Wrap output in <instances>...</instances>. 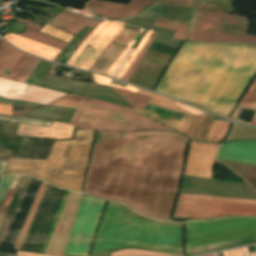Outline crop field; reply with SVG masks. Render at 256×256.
Returning <instances> with one entry per match:
<instances>
[{"instance_id": "d23c7cc5", "label": "crop field", "mask_w": 256, "mask_h": 256, "mask_svg": "<svg viewBox=\"0 0 256 256\" xmlns=\"http://www.w3.org/2000/svg\"><path fill=\"white\" fill-rule=\"evenodd\" d=\"M19 256H49V255L19 252Z\"/></svg>"}, {"instance_id": "8a807250", "label": "crop field", "mask_w": 256, "mask_h": 256, "mask_svg": "<svg viewBox=\"0 0 256 256\" xmlns=\"http://www.w3.org/2000/svg\"><path fill=\"white\" fill-rule=\"evenodd\" d=\"M175 133L98 131L84 192L168 220L187 142Z\"/></svg>"}, {"instance_id": "25e5ab78", "label": "crop field", "mask_w": 256, "mask_h": 256, "mask_svg": "<svg viewBox=\"0 0 256 256\" xmlns=\"http://www.w3.org/2000/svg\"><path fill=\"white\" fill-rule=\"evenodd\" d=\"M219 254V256H223V253L222 252H220V253H218Z\"/></svg>"}, {"instance_id": "89e229c0", "label": "crop field", "mask_w": 256, "mask_h": 256, "mask_svg": "<svg viewBox=\"0 0 256 256\" xmlns=\"http://www.w3.org/2000/svg\"><path fill=\"white\" fill-rule=\"evenodd\" d=\"M205 256H212V255H205Z\"/></svg>"}, {"instance_id": "412701ff", "label": "crop field", "mask_w": 256, "mask_h": 256, "mask_svg": "<svg viewBox=\"0 0 256 256\" xmlns=\"http://www.w3.org/2000/svg\"><path fill=\"white\" fill-rule=\"evenodd\" d=\"M94 133L79 130L75 140L56 141L47 160L9 158L5 173H21L81 192Z\"/></svg>"}, {"instance_id": "92a150f3", "label": "crop field", "mask_w": 256, "mask_h": 256, "mask_svg": "<svg viewBox=\"0 0 256 256\" xmlns=\"http://www.w3.org/2000/svg\"><path fill=\"white\" fill-rule=\"evenodd\" d=\"M73 128L66 124L55 122L52 123L50 128L20 124L16 135L33 137H45L47 135L50 138L63 139L71 137Z\"/></svg>"}, {"instance_id": "5d738f31", "label": "crop field", "mask_w": 256, "mask_h": 256, "mask_svg": "<svg viewBox=\"0 0 256 256\" xmlns=\"http://www.w3.org/2000/svg\"><path fill=\"white\" fill-rule=\"evenodd\" d=\"M0 113L12 115L11 106L0 104Z\"/></svg>"}, {"instance_id": "4a817a6b", "label": "crop field", "mask_w": 256, "mask_h": 256, "mask_svg": "<svg viewBox=\"0 0 256 256\" xmlns=\"http://www.w3.org/2000/svg\"><path fill=\"white\" fill-rule=\"evenodd\" d=\"M216 158L256 164V141H231L223 144Z\"/></svg>"}, {"instance_id": "73cf0c24", "label": "crop field", "mask_w": 256, "mask_h": 256, "mask_svg": "<svg viewBox=\"0 0 256 256\" xmlns=\"http://www.w3.org/2000/svg\"><path fill=\"white\" fill-rule=\"evenodd\" d=\"M213 256H218L217 254L213 255Z\"/></svg>"}, {"instance_id": "733c2abd", "label": "crop field", "mask_w": 256, "mask_h": 256, "mask_svg": "<svg viewBox=\"0 0 256 256\" xmlns=\"http://www.w3.org/2000/svg\"><path fill=\"white\" fill-rule=\"evenodd\" d=\"M40 181L32 180L7 232L6 235L2 241L3 246L11 247L13 248L14 242L16 240V237L19 233V230L25 220V217L29 211V208L33 202V199L36 195V192L38 190V187L40 185Z\"/></svg>"}, {"instance_id": "120bbe31", "label": "crop field", "mask_w": 256, "mask_h": 256, "mask_svg": "<svg viewBox=\"0 0 256 256\" xmlns=\"http://www.w3.org/2000/svg\"><path fill=\"white\" fill-rule=\"evenodd\" d=\"M64 193H65V192H64ZM68 193H69V192L66 191V193H65V195H64V197H63V200H62V202H61V204H60V206H59V209H58V211H57V213H56V215H55V218H54V220H53V222H52V224H51V226H50V229H49L48 234H47V236H46V238H45V241H44V243H43V246H42V248H41V250H40L39 253H44V252H45V249H46V247H47L48 241H49V239H50V237H51V235H52V232H53V230H54V228H55V226H56L57 220H58V218H59L60 212H61V210H62L63 204H64V202H65V200H66V197H67Z\"/></svg>"}, {"instance_id": "00972430", "label": "crop field", "mask_w": 256, "mask_h": 256, "mask_svg": "<svg viewBox=\"0 0 256 256\" xmlns=\"http://www.w3.org/2000/svg\"><path fill=\"white\" fill-rule=\"evenodd\" d=\"M188 40L217 41V42H242L256 45V37L245 35L218 34L190 31Z\"/></svg>"}, {"instance_id": "34b2d1b8", "label": "crop field", "mask_w": 256, "mask_h": 256, "mask_svg": "<svg viewBox=\"0 0 256 256\" xmlns=\"http://www.w3.org/2000/svg\"><path fill=\"white\" fill-rule=\"evenodd\" d=\"M122 249L183 254L182 224L142 218L109 201L90 256H110Z\"/></svg>"}, {"instance_id": "425ffa30", "label": "crop field", "mask_w": 256, "mask_h": 256, "mask_svg": "<svg viewBox=\"0 0 256 256\" xmlns=\"http://www.w3.org/2000/svg\"><path fill=\"white\" fill-rule=\"evenodd\" d=\"M5 164H6V162L0 160V174L3 173V171L5 169Z\"/></svg>"}, {"instance_id": "d32e631a", "label": "crop field", "mask_w": 256, "mask_h": 256, "mask_svg": "<svg viewBox=\"0 0 256 256\" xmlns=\"http://www.w3.org/2000/svg\"><path fill=\"white\" fill-rule=\"evenodd\" d=\"M112 256H177V255H166L161 253H150L146 251L136 250H123L112 254Z\"/></svg>"}, {"instance_id": "1d83c4d3", "label": "crop field", "mask_w": 256, "mask_h": 256, "mask_svg": "<svg viewBox=\"0 0 256 256\" xmlns=\"http://www.w3.org/2000/svg\"><path fill=\"white\" fill-rule=\"evenodd\" d=\"M21 178H22L21 175H15L14 176V178H13V180L11 182V185H10V187L8 189V192H7V194H6L5 198H4V201L2 200L3 203H2V205L0 207V221H1V218H2L6 208L8 206V203H9L12 195L14 194V192H15V190H16V188H17V186H18V184H19V182L21 180Z\"/></svg>"}, {"instance_id": "ae1a2a85", "label": "crop field", "mask_w": 256, "mask_h": 256, "mask_svg": "<svg viewBox=\"0 0 256 256\" xmlns=\"http://www.w3.org/2000/svg\"><path fill=\"white\" fill-rule=\"evenodd\" d=\"M239 106L256 110V80L239 103ZM251 125L256 126V114L251 122Z\"/></svg>"}, {"instance_id": "c035e120", "label": "crop field", "mask_w": 256, "mask_h": 256, "mask_svg": "<svg viewBox=\"0 0 256 256\" xmlns=\"http://www.w3.org/2000/svg\"><path fill=\"white\" fill-rule=\"evenodd\" d=\"M142 30H143V28H141L140 32H142ZM140 32H138V34L135 36L134 40H136V38L139 36ZM134 40H132V42L127 46V48L124 50V52L119 56V58L116 60V62L110 68V70L107 72V75L111 76V74L113 73V71L115 70V68L117 67V65L121 61V59L123 58V56L126 54L128 49L131 48V46L134 44V42H135Z\"/></svg>"}, {"instance_id": "cbeb9de0", "label": "crop field", "mask_w": 256, "mask_h": 256, "mask_svg": "<svg viewBox=\"0 0 256 256\" xmlns=\"http://www.w3.org/2000/svg\"><path fill=\"white\" fill-rule=\"evenodd\" d=\"M218 146L191 140L184 175L210 178L212 161Z\"/></svg>"}, {"instance_id": "d3111659", "label": "crop field", "mask_w": 256, "mask_h": 256, "mask_svg": "<svg viewBox=\"0 0 256 256\" xmlns=\"http://www.w3.org/2000/svg\"><path fill=\"white\" fill-rule=\"evenodd\" d=\"M113 89L117 93H119L122 97H124L128 101V103L132 106H136L144 109L148 101V98L138 95L136 93H132V92L116 89V88H113Z\"/></svg>"}, {"instance_id": "bc2a9ffb", "label": "crop field", "mask_w": 256, "mask_h": 256, "mask_svg": "<svg viewBox=\"0 0 256 256\" xmlns=\"http://www.w3.org/2000/svg\"><path fill=\"white\" fill-rule=\"evenodd\" d=\"M126 26L134 28V29H138V30L140 29V27H136V26H132V25H128V24ZM134 34H135L134 31L124 29L123 32L119 36L117 35L118 37L114 41L126 45ZM112 42L105 49V51L101 54V56L98 58V60L95 62V64L92 66V68L90 69L91 71H95V72L105 74L107 72V70L110 68V66L113 64V62L117 59V57L125 49V47L119 46V45L114 44Z\"/></svg>"}, {"instance_id": "d1516ede", "label": "crop field", "mask_w": 256, "mask_h": 256, "mask_svg": "<svg viewBox=\"0 0 256 256\" xmlns=\"http://www.w3.org/2000/svg\"><path fill=\"white\" fill-rule=\"evenodd\" d=\"M138 93L151 98L148 105L165 108L169 111L181 113L183 115L181 116V118L179 120H177V119H173V118H170L167 116L150 113V112L144 111L142 109H137V108L132 107L135 111H137V112H139V113H141L159 123L167 125L171 128H174V129L186 134V132H187L188 128L190 127L192 121L194 120L195 116H192V115L186 113L185 111H183L182 109L178 108L177 106L173 105L174 101H172V100H169L167 98L160 97V96H157V95H154L152 93H148V92H145L142 90L138 91Z\"/></svg>"}, {"instance_id": "5142ce71", "label": "crop field", "mask_w": 256, "mask_h": 256, "mask_svg": "<svg viewBox=\"0 0 256 256\" xmlns=\"http://www.w3.org/2000/svg\"><path fill=\"white\" fill-rule=\"evenodd\" d=\"M156 3L152 0H131L127 5L104 1L89 0L86 6L98 9L95 14L121 19L141 13L146 7Z\"/></svg>"}, {"instance_id": "bd1437ed", "label": "crop field", "mask_w": 256, "mask_h": 256, "mask_svg": "<svg viewBox=\"0 0 256 256\" xmlns=\"http://www.w3.org/2000/svg\"><path fill=\"white\" fill-rule=\"evenodd\" d=\"M0 120H6L16 123H25V124H32V125H39V126H46L49 127L51 122L45 120H38V119H28V118H20L10 115L0 114Z\"/></svg>"}, {"instance_id": "0bd39190", "label": "crop field", "mask_w": 256, "mask_h": 256, "mask_svg": "<svg viewBox=\"0 0 256 256\" xmlns=\"http://www.w3.org/2000/svg\"><path fill=\"white\" fill-rule=\"evenodd\" d=\"M93 77H94L96 83L109 85V84H107V83L109 82L110 78L103 77V76H99V75H95V74H93ZM109 83H110V84H114V85H118V86H122V87H124V86L126 85V84L120 83V82H118V81H115V80H113V79H111ZM111 86H113V85H111ZM127 86H129V85H127ZM127 86H125L123 89L131 90V91H135V92H137V90H138V88L129 86V87H132V88L137 89V90H135V89L129 88V87H127ZM115 87H117V86H115ZM119 88H121V87H119Z\"/></svg>"}, {"instance_id": "e1f06a70", "label": "crop field", "mask_w": 256, "mask_h": 256, "mask_svg": "<svg viewBox=\"0 0 256 256\" xmlns=\"http://www.w3.org/2000/svg\"><path fill=\"white\" fill-rule=\"evenodd\" d=\"M152 31H148V33L145 35V37L143 38V40L140 42V44L138 45V47L135 49V51L133 52V54L131 55V60L125 64V66L123 67V69L120 71V73L117 75V78H120L124 75V73L126 72V70L129 68V66L131 65L133 59L135 58V56L138 54V52L141 50V48L143 47V45L146 43V41L148 40V38L150 37Z\"/></svg>"}, {"instance_id": "730fd06b", "label": "crop field", "mask_w": 256, "mask_h": 256, "mask_svg": "<svg viewBox=\"0 0 256 256\" xmlns=\"http://www.w3.org/2000/svg\"><path fill=\"white\" fill-rule=\"evenodd\" d=\"M46 186H47V183H43V182L41 183L40 188H39V190L37 192V195L35 197V200H34L32 206H31V209H30V211L28 213V216H27V218H26V220L24 222V225H23V227H22V229H21V231L19 233V236H18V238H17V240L15 242L14 248H18L19 249V247H20V245L22 243V240H23V238L25 236V233H26V231H27V229L29 227V224H30V222H31V220H32V218L34 216V213L36 211V208L38 206V203L40 201V198H41V196H42Z\"/></svg>"}, {"instance_id": "214f88e0", "label": "crop field", "mask_w": 256, "mask_h": 256, "mask_svg": "<svg viewBox=\"0 0 256 256\" xmlns=\"http://www.w3.org/2000/svg\"><path fill=\"white\" fill-rule=\"evenodd\" d=\"M3 38L12 45L16 46L17 48L25 52L31 53L33 55L39 56L50 61H52L60 51V49L50 47L10 33Z\"/></svg>"}, {"instance_id": "d9b57169", "label": "crop field", "mask_w": 256, "mask_h": 256, "mask_svg": "<svg viewBox=\"0 0 256 256\" xmlns=\"http://www.w3.org/2000/svg\"><path fill=\"white\" fill-rule=\"evenodd\" d=\"M221 23L249 25L246 16L194 12L190 30L221 32Z\"/></svg>"}, {"instance_id": "03da06ac", "label": "crop field", "mask_w": 256, "mask_h": 256, "mask_svg": "<svg viewBox=\"0 0 256 256\" xmlns=\"http://www.w3.org/2000/svg\"><path fill=\"white\" fill-rule=\"evenodd\" d=\"M175 105L179 106L180 108L184 109L186 112L191 113V114H195V115H199L201 113H204L196 108L181 104L176 102Z\"/></svg>"}, {"instance_id": "ac0d7876", "label": "crop field", "mask_w": 256, "mask_h": 256, "mask_svg": "<svg viewBox=\"0 0 256 256\" xmlns=\"http://www.w3.org/2000/svg\"><path fill=\"white\" fill-rule=\"evenodd\" d=\"M255 72L256 47L185 42L156 92L228 118Z\"/></svg>"}, {"instance_id": "eef30255", "label": "crop field", "mask_w": 256, "mask_h": 256, "mask_svg": "<svg viewBox=\"0 0 256 256\" xmlns=\"http://www.w3.org/2000/svg\"><path fill=\"white\" fill-rule=\"evenodd\" d=\"M231 123L215 119L205 142H220L225 137Z\"/></svg>"}, {"instance_id": "28ad6ade", "label": "crop field", "mask_w": 256, "mask_h": 256, "mask_svg": "<svg viewBox=\"0 0 256 256\" xmlns=\"http://www.w3.org/2000/svg\"><path fill=\"white\" fill-rule=\"evenodd\" d=\"M22 54L0 41V77L6 78ZM39 62L40 59L23 54L7 78L25 83Z\"/></svg>"}, {"instance_id": "dd49c442", "label": "crop field", "mask_w": 256, "mask_h": 256, "mask_svg": "<svg viewBox=\"0 0 256 256\" xmlns=\"http://www.w3.org/2000/svg\"><path fill=\"white\" fill-rule=\"evenodd\" d=\"M256 235V218L232 217L189 222L188 248ZM256 242V236L188 249L190 255Z\"/></svg>"}, {"instance_id": "b54c1fbb", "label": "crop field", "mask_w": 256, "mask_h": 256, "mask_svg": "<svg viewBox=\"0 0 256 256\" xmlns=\"http://www.w3.org/2000/svg\"><path fill=\"white\" fill-rule=\"evenodd\" d=\"M132 52H133V49H130L129 52L126 54V56L123 58V60L120 62V64L117 67V69L112 74L113 77H116V75L119 73V71L121 70L123 65L126 63V61L128 60V58H129V56L131 55Z\"/></svg>"}, {"instance_id": "750c4746", "label": "crop field", "mask_w": 256, "mask_h": 256, "mask_svg": "<svg viewBox=\"0 0 256 256\" xmlns=\"http://www.w3.org/2000/svg\"><path fill=\"white\" fill-rule=\"evenodd\" d=\"M39 32L49 35L51 37H54L56 39H59L61 41H64L66 43H68L70 39L73 37V35L66 33L62 30H59L55 27H52L48 24H45Z\"/></svg>"}, {"instance_id": "dafd665d", "label": "crop field", "mask_w": 256, "mask_h": 256, "mask_svg": "<svg viewBox=\"0 0 256 256\" xmlns=\"http://www.w3.org/2000/svg\"><path fill=\"white\" fill-rule=\"evenodd\" d=\"M48 23L75 35L85 26L94 28L99 21L89 20L65 10L48 21Z\"/></svg>"}, {"instance_id": "5a996713", "label": "crop field", "mask_w": 256, "mask_h": 256, "mask_svg": "<svg viewBox=\"0 0 256 256\" xmlns=\"http://www.w3.org/2000/svg\"><path fill=\"white\" fill-rule=\"evenodd\" d=\"M64 192L48 184L20 250L39 252Z\"/></svg>"}, {"instance_id": "028f5c9d", "label": "crop field", "mask_w": 256, "mask_h": 256, "mask_svg": "<svg viewBox=\"0 0 256 256\" xmlns=\"http://www.w3.org/2000/svg\"><path fill=\"white\" fill-rule=\"evenodd\" d=\"M156 36V33L153 32L152 37L149 38V40L147 41V43L144 45V47L142 48V50L140 51V53L137 55V57L135 58L134 62L132 63V65L130 66L129 70L126 72V74L123 76L122 80L127 81L129 79V77L131 76V74L133 73V71L135 70L139 60L141 59L142 55L145 52V49L148 47V45L150 44V42L152 41V39Z\"/></svg>"}, {"instance_id": "e52e79f7", "label": "crop field", "mask_w": 256, "mask_h": 256, "mask_svg": "<svg viewBox=\"0 0 256 256\" xmlns=\"http://www.w3.org/2000/svg\"><path fill=\"white\" fill-rule=\"evenodd\" d=\"M182 198L256 204V201L188 195V194H183ZM202 200L181 199V194H180L173 217H182V218H189V219H209V218H215L223 215H233V214L256 215V205H245V204L202 201Z\"/></svg>"}, {"instance_id": "f4fd0767", "label": "crop field", "mask_w": 256, "mask_h": 256, "mask_svg": "<svg viewBox=\"0 0 256 256\" xmlns=\"http://www.w3.org/2000/svg\"><path fill=\"white\" fill-rule=\"evenodd\" d=\"M61 99L93 103L91 109L109 112V114L105 112L89 110L91 106V104L89 103H82V102H75V101H68V100H61ZM61 99H57L49 103V105L75 107L77 108V110H81V111H87V112H93V113H99V114H105V115L108 114V116H104V115L78 111L74 120L71 121L69 124L72 126L90 128V129L117 130V131H133V130H139V129L173 131L143 116L136 114L134 111H132L129 108H125V107L117 106L107 102H102V101L85 98L77 95H71V94H67L61 97Z\"/></svg>"}, {"instance_id": "22f410ed", "label": "crop field", "mask_w": 256, "mask_h": 256, "mask_svg": "<svg viewBox=\"0 0 256 256\" xmlns=\"http://www.w3.org/2000/svg\"><path fill=\"white\" fill-rule=\"evenodd\" d=\"M26 86L27 85L19 82L0 78V95L10 99L26 100L43 104H47L64 95L63 93L54 90L30 85L27 91L24 92Z\"/></svg>"}, {"instance_id": "3316defc", "label": "crop field", "mask_w": 256, "mask_h": 256, "mask_svg": "<svg viewBox=\"0 0 256 256\" xmlns=\"http://www.w3.org/2000/svg\"><path fill=\"white\" fill-rule=\"evenodd\" d=\"M108 23H109L108 21H103L92 32V34L84 41V43L80 46V48L74 53V55L68 61L67 65L83 68L87 70L90 69V67L99 57V55L104 51V49L109 45V43L115 38V36L121 31L123 27L120 25H116L117 22H111L109 25ZM119 24H122V23H119ZM106 25H108L107 28L103 32H101ZM87 44L94 47L95 50L89 47H86L85 50L82 52L83 48Z\"/></svg>"}, {"instance_id": "c21b1889", "label": "crop field", "mask_w": 256, "mask_h": 256, "mask_svg": "<svg viewBox=\"0 0 256 256\" xmlns=\"http://www.w3.org/2000/svg\"><path fill=\"white\" fill-rule=\"evenodd\" d=\"M223 253H224V256H244V255L249 256L246 248L232 250V251H226ZM250 256H256V253H252V254H250Z\"/></svg>"}, {"instance_id": "b80d0937", "label": "crop field", "mask_w": 256, "mask_h": 256, "mask_svg": "<svg viewBox=\"0 0 256 256\" xmlns=\"http://www.w3.org/2000/svg\"><path fill=\"white\" fill-rule=\"evenodd\" d=\"M14 175H1L0 176V205L2 203V200L6 194V191L8 189V186L12 180Z\"/></svg>"}, {"instance_id": "4177f3b9", "label": "crop field", "mask_w": 256, "mask_h": 256, "mask_svg": "<svg viewBox=\"0 0 256 256\" xmlns=\"http://www.w3.org/2000/svg\"><path fill=\"white\" fill-rule=\"evenodd\" d=\"M213 119V117L205 115L198 117L192 124L188 132V137L195 140L203 141Z\"/></svg>"}, {"instance_id": "5866460e", "label": "crop field", "mask_w": 256, "mask_h": 256, "mask_svg": "<svg viewBox=\"0 0 256 256\" xmlns=\"http://www.w3.org/2000/svg\"><path fill=\"white\" fill-rule=\"evenodd\" d=\"M156 26H160V27H164V28H168V29H173L176 30L175 35L173 38H177V39H186V35L188 32V28L189 27H183V26H175V25H169V24H164V23H155Z\"/></svg>"}, {"instance_id": "d8731c3e", "label": "crop field", "mask_w": 256, "mask_h": 256, "mask_svg": "<svg viewBox=\"0 0 256 256\" xmlns=\"http://www.w3.org/2000/svg\"><path fill=\"white\" fill-rule=\"evenodd\" d=\"M106 201L83 194L64 256H87Z\"/></svg>"}, {"instance_id": "a9b5d70f", "label": "crop field", "mask_w": 256, "mask_h": 256, "mask_svg": "<svg viewBox=\"0 0 256 256\" xmlns=\"http://www.w3.org/2000/svg\"><path fill=\"white\" fill-rule=\"evenodd\" d=\"M17 19H19L22 22L28 24V30L26 32H24L23 34H18V35L27 37L29 39H32V40H35V41H38V42H41V43H44V44H47V45L54 46V47H57V48H60V49H62L66 45L63 42H60L58 40H55L53 38H50V37L45 36L43 34H40L38 32H35V31L40 29L39 26H37L35 24H32V23H30V22H28L26 20H23V19H21L19 17H17Z\"/></svg>"}]
</instances>
